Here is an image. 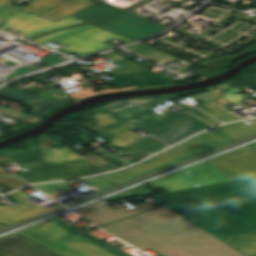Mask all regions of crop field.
<instances>
[{
	"instance_id": "1",
	"label": "crop field",
	"mask_w": 256,
	"mask_h": 256,
	"mask_svg": "<svg viewBox=\"0 0 256 256\" xmlns=\"http://www.w3.org/2000/svg\"><path fill=\"white\" fill-rule=\"evenodd\" d=\"M155 198L244 255L256 256V179Z\"/></svg>"
},
{
	"instance_id": "2",
	"label": "crop field",
	"mask_w": 256,
	"mask_h": 256,
	"mask_svg": "<svg viewBox=\"0 0 256 256\" xmlns=\"http://www.w3.org/2000/svg\"><path fill=\"white\" fill-rule=\"evenodd\" d=\"M103 228L164 256H244L166 206Z\"/></svg>"
},
{
	"instance_id": "3",
	"label": "crop field",
	"mask_w": 256,
	"mask_h": 256,
	"mask_svg": "<svg viewBox=\"0 0 256 256\" xmlns=\"http://www.w3.org/2000/svg\"><path fill=\"white\" fill-rule=\"evenodd\" d=\"M54 143L57 142L47 136L33 149L8 153L17 162L29 169V171L17 175L30 183H35L107 172L65 147H50Z\"/></svg>"
},
{
	"instance_id": "4",
	"label": "crop field",
	"mask_w": 256,
	"mask_h": 256,
	"mask_svg": "<svg viewBox=\"0 0 256 256\" xmlns=\"http://www.w3.org/2000/svg\"><path fill=\"white\" fill-rule=\"evenodd\" d=\"M234 141H237V139L224 131L216 135L207 131L133 168L98 177L82 179V181L99 190L95 192L99 193L123 182L169 167Z\"/></svg>"
},
{
	"instance_id": "5",
	"label": "crop field",
	"mask_w": 256,
	"mask_h": 256,
	"mask_svg": "<svg viewBox=\"0 0 256 256\" xmlns=\"http://www.w3.org/2000/svg\"><path fill=\"white\" fill-rule=\"evenodd\" d=\"M18 232L62 256H112L48 221Z\"/></svg>"
},
{
	"instance_id": "6",
	"label": "crop field",
	"mask_w": 256,
	"mask_h": 256,
	"mask_svg": "<svg viewBox=\"0 0 256 256\" xmlns=\"http://www.w3.org/2000/svg\"><path fill=\"white\" fill-rule=\"evenodd\" d=\"M114 38L124 43L133 41L91 24L55 31L31 40L41 44H45L51 40H63L68 44L61 49L81 57L99 50L113 47L105 42Z\"/></svg>"
},
{
	"instance_id": "7",
	"label": "crop field",
	"mask_w": 256,
	"mask_h": 256,
	"mask_svg": "<svg viewBox=\"0 0 256 256\" xmlns=\"http://www.w3.org/2000/svg\"><path fill=\"white\" fill-rule=\"evenodd\" d=\"M230 181L207 161L150 182L165 192Z\"/></svg>"
},
{
	"instance_id": "8",
	"label": "crop field",
	"mask_w": 256,
	"mask_h": 256,
	"mask_svg": "<svg viewBox=\"0 0 256 256\" xmlns=\"http://www.w3.org/2000/svg\"><path fill=\"white\" fill-rule=\"evenodd\" d=\"M153 108L157 107L154 106L141 111L132 109L119 113V115L159 139H164L173 131L181 127L176 124L177 122L191 116L185 111L179 113L157 114L151 110Z\"/></svg>"
},
{
	"instance_id": "9",
	"label": "crop field",
	"mask_w": 256,
	"mask_h": 256,
	"mask_svg": "<svg viewBox=\"0 0 256 256\" xmlns=\"http://www.w3.org/2000/svg\"><path fill=\"white\" fill-rule=\"evenodd\" d=\"M14 1L0 0V8L7 4L55 22L100 3L90 0H33L26 8H23L11 5Z\"/></svg>"
},
{
	"instance_id": "10",
	"label": "crop field",
	"mask_w": 256,
	"mask_h": 256,
	"mask_svg": "<svg viewBox=\"0 0 256 256\" xmlns=\"http://www.w3.org/2000/svg\"><path fill=\"white\" fill-rule=\"evenodd\" d=\"M91 120L151 154L167 146L153 137L144 139L130 131L136 126L103 107L96 109Z\"/></svg>"
},
{
	"instance_id": "11",
	"label": "crop field",
	"mask_w": 256,
	"mask_h": 256,
	"mask_svg": "<svg viewBox=\"0 0 256 256\" xmlns=\"http://www.w3.org/2000/svg\"><path fill=\"white\" fill-rule=\"evenodd\" d=\"M92 24L133 40L146 38L166 28L126 11Z\"/></svg>"
},
{
	"instance_id": "12",
	"label": "crop field",
	"mask_w": 256,
	"mask_h": 256,
	"mask_svg": "<svg viewBox=\"0 0 256 256\" xmlns=\"http://www.w3.org/2000/svg\"><path fill=\"white\" fill-rule=\"evenodd\" d=\"M208 162L232 180L256 176V150L250 146Z\"/></svg>"
},
{
	"instance_id": "13",
	"label": "crop field",
	"mask_w": 256,
	"mask_h": 256,
	"mask_svg": "<svg viewBox=\"0 0 256 256\" xmlns=\"http://www.w3.org/2000/svg\"><path fill=\"white\" fill-rule=\"evenodd\" d=\"M153 209L151 206L145 204L134 209H126L124 207L119 209H112L103 202L99 201L87 207L74 211L75 213L85 217L86 219L102 226L147 210ZM97 225V226H98ZM99 226V227H100Z\"/></svg>"
},
{
	"instance_id": "14",
	"label": "crop field",
	"mask_w": 256,
	"mask_h": 256,
	"mask_svg": "<svg viewBox=\"0 0 256 256\" xmlns=\"http://www.w3.org/2000/svg\"><path fill=\"white\" fill-rule=\"evenodd\" d=\"M7 196L20 204L16 207L9 205L4 207L0 206V222L7 226L45 212L41 208L14 193Z\"/></svg>"
},
{
	"instance_id": "15",
	"label": "crop field",
	"mask_w": 256,
	"mask_h": 256,
	"mask_svg": "<svg viewBox=\"0 0 256 256\" xmlns=\"http://www.w3.org/2000/svg\"><path fill=\"white\" fill-rule=\"evenodd\" d=\"M109 84H116L117 88L151 87L174 84L173 81L153 72H138L114 77Z\"/></svg>"
},
{
	"instance_id": "16",
	"label": "crop field",
	"mask_w": 256,
	"mask_h": 256,
	"mask_svg": "<svg viewBox=\"0 0 256 256\" xmlns=\"http://www.w3.org/2000/svg\"><path fill=\"white\" fill-rule=\"evenodd\" d=\"M2 23L6 24L2 30L10 28L29 35L55 22L21 11Z\"/></svg>"
},
{
	"instance_id": "17",
	"label": "crop field",
	"mask_w": 256,
	"mask_h": 256,
	"mask_svg": "<svg viewBox=\"0 0 256 256\" xmlns=\"http://www.w3.org/2000/svg\"><path fill=\"white\" fill-rule=\"evenodd\" d=\"M82 125L91 130L92 132L100 135L101 137L108 140L109 144L125 152L136 160H141L151 154L143 151L142 149L132 145L131 143L123 140L122 138L114 135L113 133L103 129L102 127L94 124L92 121L82 123Z\"/></svg>"
},
{
	"instance_id": "18",
	"label": "crop field",
	"mask_w": 256,
	"mask_h": 256,
	"mask_svg": "<svg viewBox=\"0 0 256 256\" xmlns=\"http://www.w3.org/2000/svg\"><path fill=\"white\" fill-rule=\"evenodd\" d=\"M178 124L181 125L182 127L180 129H178L177 131H175L174 133H172L167 138H165L163 140L164 142H166L170 145H173L190 135H193L205 128L210 127L206 123L198 120L197 118H195L193 116L178 123Z\"/></svg>"
},
{
	"instance_id": "19",
	"label": "crop field",
	"mask_w": 256,
	"mask_h": 256,
	"mask_svg": "<svg viewBox=\"0 0 256 256\" xmlns=\"http://www.w3.org/2000/svg\"><path fill=\"white\" fill-rule=\"evenodd\" d=\"M31 241L1 252L0 256H58Z\"/></svg>"
},
{
	"instance_id": "20",
	"label": "crop field",
	"mask_w": 256,
	"mask_h": 256,
	"mask_svg": "<svg viewBox=\"0 0 256 256\" xmlns=\"http://www.w3.org/2000/svg\"><path fill=\"white\" fill-rule=\"evenodd\" d=\"M121 11L118 8H115L111 5H108L106 3H101L95 7H92L88 10H85L79 14H76L72 17L87 21V22H91V21H96V20H100L103 18H106L110 15H113L117 12Z\"/></svg>"
},
{
	"instance_id": "21",
	"label": "crop field",
	"mask_w": 256,
	"mask_h": 256,
	"mask_svg": "<svg viewBox=\"0 0 256 256\" xmlns=\"http://www.w3.org/2000/svg\"><path fill=\"white\" fill-rule=\"evenodd\" d=\"M256 53V44H254L253 46L241 51L240 53L231 56V57H225V58H221V59H217V60H213V61H209V62H205L202 64H198L208 70L206 71H202L201 74L205 75V74H209V73H213L215 71L221 70L227 66H229L230 61L240 58L242 56L245 55H249V54H253Z\"/></svg>"
},
{
	"instance_id": "22",
	"label": "crop field",
	"mask_w": 256,
	"mask_h": 256,
	"mask_svg": "<svg viewBox=\"0 0 256 256\" xmlns=\"http://www.w3.org/2000/svg\"><path fill=\"white\" fill-rule=\"evenodd\" d=\"M154 62H157V63H160V64H163L169 60H173L177 57L175 56H172L170 54H167L165 52H162L160 50H157V49H154L152 47H149L147 45H144L142 43H139V44H136V45H133V46H129V47H126Z\"/></svg>"
},
{
	"instance_id": "23",
	"label": "crop field",
	"mask_w": 256,
	"mask_h": 256,
	"mask_svg": "<svg viewBox=\"0 0 256 256\" xmlns=\"http://www.w3.org/2000/svg\"><path fill=\"white\" fill-rule=\"evenodd\" d=\"M103 55L123 67L120 69L105 72L108 75L116 76V75L131 73V72L147 71L148 70V69H146L132 61H129L113 52L103 54Z\"/></svg>"
},
{
	"instance_id": "24",
	"label": "crop field",
	"mask_w": 256,
	"mask_h": 256,
	"mask_svg": "<svg viewBox=\"0 0 256 256\" xmlns=\"http://www.w3.org/2000/svg\"><path fill=\"white\" fill-rule=\"evenodd\" d=\"M32 98L37 101V104L33 106L32 115L42 119L45 114L54 111L62 105L67 104L65 102L55 99L47 101L37 95L33 96Z\"/></svg>"
},
{
	"instance_id": "25",
	"label": "crop field",
	"mask_w": 256,
	"mask_h": 256,
	"mask_svg": "<svg viewBox=\"0 0 256 256\" xmlns=\"http://www.w3.org/2000/svg\"><path fill=\"white\" fill-rule=\"evenodd\" d=\"M211 96L217 98L219 96L208 92V93H204V94H200V95H196V96H192L193 98H195L196 100L208 105L209 107L215 109L216 111L220 112L221 114L227 116L228 118L234 120V119H238L241 118L240 116H238L237 114H235L234 112H227L226 108H224L223 106L217 104L214 99L210 98Z\"/></svg>"
},
{
	"instance_id": "26",
	"label": "crop field",
	"mask_w": 256,
	"mask_h": 256,
	"mask_svg": "<svg viewBox=\"0 0 256 256\" xmlns=\"http://www.w3.org/2000/svg\"><path fill=\"white\" fill-rule=\"evenodd\" d=\"M0 96L31 106L36 104V101L31 98L32 95L7 87L0 90Z\"/></svg>"
},
{
	"instance_id": "27",
	"label": "crop field",
	"mask_w": 256,
	"mask_h": 256,
	"mask_svg": "<svg viewBox=\"0 0 256 256\" xmlns=\"http://www.w3.org/2000/svg\"><path fill=\"white\" fill-rule=\"evenodd\" d=\"M79 237L87 240L88 242L100 247L101 249L111 253L112 255L114 256H129L127 254H125L124 252L116 249L115 247L107 244L106 242L98 239L97 237L91 235V234H85V233H82L80 235H78Z\"/></svg>"
},
{
	"instance_id": "28",
	"label": "crop field",
	"mask_w": 256,
	"mask_h": 256,
	"mask_svg": "<svg viewBox=\"0 0 256 256\" xmlns=\"http://www.w3.org/2000/svg\"><path fill=\"white\" fill-rule=\"evenodd\" d=\"M81 23H86V22L75 19V18H72V17H69L65 20H62L58 23H55V24H53L49 27H46V28H44L40 31H37V32L27 36V37H24V38L30 39V38L36 37L38 35L50 32V31L55 30V29H59V28L67 27V26H72V25H77V24H81Z\"/></svg>"
},
{
	"instance_id": "29",
	"label": "crop field",
	"mask_w": 256,
	"mask_h": 256,
	"mask_svg": "<svg viewBox=\"0 0 256 256\" xmlns=\"http://www.w3.org/2000/svg\"><path fill=\"white\" fill-rule=\"evenodd\" d=\"M225 132L241 140L256 134V122L236 127L230 130H226Z\"/></svg>"
},
{
	"instance_id": "30",
	"label": "crop field",
	"mask_w": 256,
	"mask_h": 256,
	"mask_svg": "<svg viewBox=\"0 0 256 256\" xmlns=\"http://www.w3.org/2000/svg\"><path fill=\"white\" fill-rule=\"evenodd\" d=\"M0 114L6 115L8 117L14 118L16 120L25 122V123H29V124H36L37 122L41 121L42 119L33 117L29 114L26 113H22V112H18V111H14V110H10V109H6V108H2L0 107Z\"/></svg>"
},
{
	"instance_id": "31",
	"label": "crop field",
	"mask_w": 256,
	"mask_h": 256,
	"mask_svg": "<svg viewBox=\"0 0 256 256\" xmlns=\"http://www.w3.org/2000/svg\"><path fill=\"white\" fill-rule=\"evenodd\" d=\"M78 182L77 180L74 181H67V182H61V183H53V184H45V185H35L39 187L38 189L48 193L53 198L60 196L59 194L55 193L57 191L63 190V191H70L71 188L67 187L66 185Z\"/></svg>"
},
{
	"instance_id": "32",
	"label": "crop field",
	"mask_w": 256,
	"mask_h": 256,
	"mask_svg": "<svg viewBox=\"0 0 256 256\" xmlns=\"http://www.w3.org/2000/svg\"><path fill=\"white\" fill-rule=\"evenodd\" d=\"M167 101V99L162 97H153V98H145V99H132L128 100L127 104L133 108H137L139 110L154 106L156 104Z\"/></svg>"
},
{
	"instance_id": "33",
	"label": "crop field",
	"mask_w": 256,
	"mask_h": 256,
	"mask_svg": "<svg viewBox=\"0 0 256 256\" xmlns=\"http://www.w3.org/2000/svg\"><path fill=\"white\" fill-rule=\"evenodd\" d=\"M27 241L29 240L16 233L3 237L0 239V252Z\"/></svg>"
},
{
	"instance_id": "34",
	"label": "crop field",
	"mask_w": 256,
	"mask_h": 256,
	"mask_svg": "<svg viewBox=\"0 0 256 256\" xmlns=\"http://www.w3.org/2000/svg\"><path fill=\"white\" fill-rule=\"evenodd\" d=\"M0 184L3 186L13 190L17 187L26 185L24 182L21 180L17 179L13 175L9 174L8 172L4 171L3 169L0 168Z\"/></svg>"
},
{
	"instance_id": "35",
	"label": "crop field",
	"mask_w": 256,
	"mask_h": 256,
	"mask_svg": "<svg viewBox=\"0 0 256 256\" xmlns=\"http://www.w3.org/2000/svg\"><path fill=\"white\" fill-rule=\"evenodd\" d=\"M242 91H240L239 89L235 88V89H232V90H229L227 91L223 97L226 98V99H229L243 107H245L244 104H242L240 101L243 100V98H241L240 96H242L243 94L241 95H237L239 93H241Z\"/></svg>"
},
{
	"instance_id": "36",
	"label": "crop field",
	"mask_w": 256,
	"mask_h": 256,
	"mask_svg": "<svg viewBox=\"0 0 256 256\" xmlns=\"http://www.w3.org/2000/svg\"><path fill=\"white\" fill-rule=\"evenodd\" d=\"M104 107L113 111V112H115V113H119V112H122V111H125V110L132 109L130 106H128L126 104V101L108 104Z\"/></svg>"
},
{
	"instance_id": "37",
	"label": "crop field",
	"mask_w": 256,
	"mask_h": 256,
	"mask_svg": "<svg viewBox=\"0 0 256 256\" xmlns=\"http://www.w3.org/2000/svg\"><path fill=\"white\" fill-rule=\"evenodd\" d=\"M21 10L4 5L0 10V20L3 21Z\"/></svg>"
},
{
	"instance_id": "38",
	"label": "crop field",
	"mask_w": 256,
	"mask_h": 256,
	"mask_svg": "<svg viewBox=\"0 0 256 256\" xmlns=\"http://www.w3.org/2000/svg\"><path fill=\"white\" fill-rule=\"evenodd\" d=\"M188 111L191 112V113H193L194 115L198 116L199 118L205 120L206 122L212 124V125L221 123V122H219V121L213 119L212 117H210V116L204 114L203 112H201V111H199V110H197V109H195V108H193V109H191V110H188Z\"/></svg>"
},
{
	"instance_id": "39",
	"label": "crop field",
	"mask_w": 256,
	"mask_h": 256,
	"mask_svg": "<svg viewBox=\"0 0 256 256\" xmlns=\"http://www.w3.org/2000/svg\"><path fill=\"white\" fill-rule=\"evenodd\" d=\"M198 107L201 108V109H203V110H205L206 112L212 114L213 116H215V117L221 119V120L224 121V122L230 121V119H228L227 117L221 115L220 113L216 112L215 110L209 108L208 106H206V105H204V104H202V105H200V106H198Z\"/></svg>"
},
{
	"instance_id": "40",
	"label": "crop field",
	"mask_w": 256,
	"mask_h": 256,
	"mask_svg": "<svg viewBox=\"0 0 256 256\" xmlns=\"http://www.w3.org/2000/svg\"><path fill=\"white\" fill-rule=\"evenodd\" d=\"M58 54L54 53L46 58H44L43 62H45L47 65L51 66L60 62H63L64 60L58 58Z\"/></svg>"
},
{
	"instance_id": "41",
	"label": "crop field",
	"mask_w": 256,
	"mask_h": 256,
	"mask_svg": "<svg viewBox=\"0 0 256 256\" xmlns=\"http://www.w3.org/2000/svg\"><path fill=\"white\" fill-rule=\"evenodd\" d=\"M16 161L12 159L7 153L0 154V165L15 163Z\"/></svg>"
},
{
	"instance_id": "42",
	"label": "crop field",
	"mask_w": 256,
	"mask_h": 256,
	"mask_svg": "<svg viewBox=\"0 0 256 256\" xmlns=\"http://www.w3.org/2000/svg\"><path fill=\"white\" fill-rule=\"evenodd\" d=\"M126 197H132V195L125 191V192L117 194V195H115V196H113L111 198H108V199H106L104 201L116 200V199H121V198H126Z\"/></svg>"
},
{
	"instance_id": "43",
	"label": "crop field",
	"mask_w": 256,
	"mask_h": 256,
	"mask_svg": "<svg viewBox=\"0 0 256 256\" xmlns=\"http://www.w3.org/2000/svg\"><path fill=\"white\" fill-rule=\"evenodd\" d=\"M249 122H252V121H256V119L254 120H248ZM247 122V121H246ZM243 124H246L244 121L242 122H237V123H232V124H228V125H224V126H221L219 128L223 129V130H226V129H229V128H233V127H236V126H239V125H243Z\"/></svg>"
},
{
	"instance_id": "44",
	"label": "crop field",
	"mask_w": 256,
	"mask_h": 256,
	"mask_svg": "<svg viewBox=\"0 0 256 256\" xmlns=\"http://www.w3.org/2000/svg\"><path fill=\"white\" fill-rule=\"evenodd\" d=\"M92 93H93L92 90H87V91H80L79 93H72V94H70V95H72V96H74V97L80 99V98H82V97H84V96H87V95H90V94H92Z\"/></svg>"
},
{
	"instance_id": "45",
	"label": "crop field",
	"mask_w": 256,
	"mask_h": 256,
	"mask_svg": "<svg viewBox=\"0 0 256 256\" xmlns=\"http://www.w3.org/2000/svg\"><path fill=\"white\" fill-rule=\"evenodd\" d=\"M192 66H193V64L187 62V63H185L184 65H182L181 67L177 68L174 71H176L178 73H182V72L186 71L187 69L191 68Z\"/></svg>"
},
{
	"instance_id": "46",
	"label": "crop field",
	"mask_w": 256,
	"mask_h": 256,
	"mask_svg": "<svg viewBox=\"0 0 256 256\" xmlns=\"http://www.w3.org/2000/svg\"><path fill=\"white\" fill-rule=\"evenodd\" d=\"M215 101L218 102V103H220V104H222L223 106L232 103V102H230V101H228V100H226V99H224V98H222V97L216 99Z\"/></svg>"
},
{
	"instance_id": "47",
	"label": "crop field",
	"mask_w": 256,
	"mask_h": 256,
	"mask_svg": "<svg viewBox=\"0 0 256 256\" xmlns=\"http://www.w3.org/2000/svg\"><path fill=\"white\" fill-rule=\"evenodd\" d=\"M16 194H18L19 196L23 197V198H26V197H30L29 195L21 192V191H18V192H15Z\"/></svg>"
},
{
	"instance_id": "48",
	"label": "crop field",
	"mask_w": 256,
	"mask_h": 256,
	"mask_svg": "<svg viewBox=\"0 0 256 256\" xmlns=\"http://www.w3.org/2000/svg\"><path fill=\"white\" fill-rule=\"evenodd\" d=\"M57 206H55V207H52V208H49V209H47V208H45V207H43V206H41V205H38L39 207H41L42 209H44V210H46V211H48V210H50V209H53V208H56V207H58V206H61L60 204H58V203H55ZM51 211V210H50Z\"/></svg>"
},
{
	"instance_id": "49",
	"label": "crop field",
	"mask_w": 256,
	"mask_h": 256,
	"mask_svg": "<svg viewBox=\"0 0 256 256\" xmlns=\"http://www.w3.org/2000/svg\"><path fill=\"white\" fill-rule=\"evenodd\" d=\"M6 228L3 224L0 223V229Z\"/></svg>"
},
{
	"instance_id": "50",
	"label": "crop field",
	"mask_w": 256,
	"mask_h": 256,
	"mask_svg": "<svg viewBox=\"0 0 256 256\" xmlns=\"http://www.w3.org/2000/svg\"><path fill=\"white\" fill-rule=\"evenodd\" d=\"M254 6L256 7V3L254 4Z\"/></svg>"
},
{
	"instance_id": "51",
	"label": "crop field",
	"mask_w": 256,
	"mask_h": 256,
	"mask_svg": "<svg viewBox=\"0 0 256 256\" xmlns=\"http://www.w3.org/2000/svg\"><path fill=\"white\" fill-rule=\"evenodd\" d=\"M157 256H162V255L159 254V255H157Z\"/></svg>"
},
{
	"instance_id": "52",
	"label": "crop field",
	"mask_w": 256,
	"mask_h": 256,
	"mask_svg": "<svg viewBox=\"0 0 256 256\" xmlns=\"http://www.w3.org/2000/svg\"><path fill=\"white\" fill-rule=\"evenodd\" d=\"M101 1H105V0H101Z\"/></svg>"
},
{
	"instance_id": "53",
	"label": "crop field",
	"mask_w": 256,
	"mask_h": 256,
	"mask_svg": "<svg viewBox=\"0 0 256 256\" xmlns=\"http://www.w3.org/2000/svg\"><path fill=\"white\" fill-rule=\"evenodd\" d=\"M254 147H256V145H254Z\"/></svg>"
},
{
	"instance_id": "54",
	"label": "crop field",
	"mask_w": 256,
	"mask_h": 256,
	"mask_svg": "<svg viewBox=\"0 0 256 256\" xmlns=\"http://www.w3.org/2000/svg\"><path fill=\"white\" fill-rule=\"evenodd\" d=\"M1 33V32H0Z\"/></svg>"
}]
</instances>
